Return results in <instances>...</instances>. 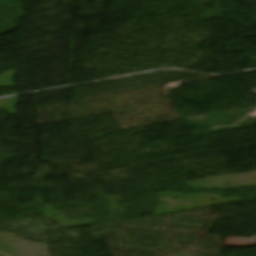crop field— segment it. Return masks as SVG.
I'll list each match as a JSON object with an SVG mask.
<instances>
[{
	"label": "crop field",
	"mask_w": 256,
	"mask_h": 256,
	"mask_svg": "<svg viewBox=\"0 0 256 256\" xmlns=\"http://www.w3.org/2000/svg\"><path fill=\"white\" fill-rule=\"evenodd\" d=\"M255 244H256V236H252L251 239L227 238L224 246L247 247Z\"/></svg>",
	"instance_id": "obj_1"
}]
</instances>
